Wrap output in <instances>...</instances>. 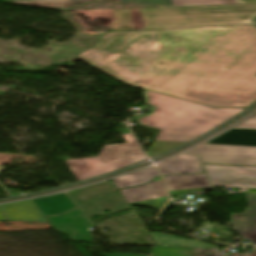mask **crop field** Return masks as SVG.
<instances>
[{
    "label": "crop field",
    "mask_w": 256,
    "mask_h": 256,
    "mask_svg": "<svg viewBox=\"0 0 256 256\" xmlns=\"http://www.w3.org/2000/svg\"><path fill=\"white\" fill-rule=\"evenodd\" d=\"M43 215H56L69 211L75 205L65 193L32 200Z\"/></svg>",
    "instance_id": "crop-field-15"
},
{
    "label": "crop field",
    "mask_w": 256,
    "mask_h": 256,
    "mask_svg": "<svg viewBox=\"0 0 256 256\" xmlns=\"http://www.w3.org/2000/svg\"><path fill=\"white\" fill-rule=\"evenodd\" d=\"M120 131H121L122 134L130 132L127 127L122 129V130H120Z\"/></svg>",
    "instance_id": "crop-field-25"
},
{
    "label": "crop field",
    "mask_w": 256,
    "mask_h": 256,
    "mask_svg": "<svg viewBox=\"0 0 256 256\" xmlns=\"http://www.w3.org/2000/svg\"><path fill=\"white\" fill-rule=\"evenodd\" d=\"M124 138L128 144L104 145L97 157L66 159L65 162L79 181L145 160L146 156L132 134Z\"/></svg>",
    "instance_id": "crop-field-4"
},
{
    "label": "crop field",
    "mask_w": 256,
    "mask_h": 256,
    "mask_svg": "<svg viewBox=\"0 0 256 256\" xmlns=\"http://www.w3.org/2000/svg\"><path fill=\"white\" fill-rule=\"evenodd\" d=\"M186 153L199 154L203 163L256 166V147L203 144Z\"/></svg>",
    "instance_id": "crop-field-6"
},
{
    "label": "crop field",
    "mask_w": 256,
    "mask_h": 256,
    "mask_svg": "<svg viewBox=\"0 0 256 256\" xmlns=\"http://www.w3.org/2000/svg\"><path fill=\"white\" fill-rule=\"evenodd\" d=\"M220 249H197L153 246L151 256H219ZM103 256H133V255H103Z\"/></svg>",
    "instance_id": "crop-field-16"
},
{
    "label": "crop field",
    "mask_w": 256,
    "mask_h": 256,
    "mask_svg": "<svg viewBox=\"0 0 256 256\" xmlns=\"http://www.w3.org/2000/svg\"><path fill=\"white\" fill-rule=\"evenodd\" d=\"M120 192L130 205L147 206L158 211H160L161 207L168 200L160 177L148 185L139 188L124 189L120 190Z\"/></svg>",
    "instance_id": "crop-field-8"
},
{
    "label": "crop field",
    "mask_w": 256,
    "mask_h": 256,
    "mask_svg": "<svg viewBox=\"0 0 256 256\" xmlns=\"http://www.w3.org/2000/svg\"><path fill=\"white\" fill-rule=\"evenodd\" d=\"M182 144L184 143L154 141L148 152L164 153Z\"/></svg>",
    "instance_id": "crop-field-22"
},
{
    "label": "crop field",
    "mask_w": 256,
    "mask_h": 256,
    "mask_svg": "<svg viewBox=\"0 0 256 256\" xmlns=\"http://www.w3.org/2000/svg\"><path fill=\"white\" fill-rule=\"evenodd\" d=\"M198 156L180 155L158 164L163 175L203 172Z\"/></svg>",
    "instance_id": "crop-field-14"
},
{
    "label": "crop field",
    "mask_w": 256,
    "mask_h": 256,
    "mask_svg": "<svg viewBox=\"0 0 256 256\" xmlns=\"http://www.w3.org/2000/svg\"><path fill=\"white\" fill-rule=\"evenodd\" d=\"M57 231L68 235L73 241L93 242L87 230L92 224L77 208L66 215L59 217H46Z\"/></svg>",
    "instance_id": "crop-field-9"
},
{
    "label": "crop field",
    "mask_w": 256,
    "mask_h": 256,
    "mask_svg": "<svg viewBox=\"0 0 256 256\" xmlns=\"http://www.w3.org/2000/svg\"><path fill=\"white\" fill-rule=\"evenodd\" d=\"M208 143L256 146V130L231 129Z\"/></svg>",
    "instance_id": "crop-field-17"
},
{
    "label": "crop field",
    "mask_w": 256,
    "mask_h": 256,
    "mask_svg": "<svg viewBox=\"0 0 256 256\" xmlns=\"http://www.w3.org/2000/svg\"><path fill=\"white\" fill-rule=\"evenodd\" d=\"M110 28L139 26L135 9L110 10Z\"/></svg>",
    "instance_id": "crop-field-21"
},
{
    "label": "crop field",
    "mask_w": 256,
    "mask_h": 256,
    "mask_svg": "<svg viewBox=\"0 0 256 256\" xmlns=\"http://www.w3.org/2000/svg\"><path fill=\"white\" fill-rule=\"evenodd\" d=\"M115 184L104 182L72 191H68L70 196L79 205L89 199L104 195L112 190H116Z\"/></svg>",
    "instance_id": "crop-field-18"
},
{
    "label": "crop field",
    "mask_w": 256,
    "mask_h": 256,
    "mask_svg": "<svg viewBox=\"0 0 256 256\" xmlns=\"http://www.w3.org/2000/svg\"><path fill=\"white\" fill-rule=\"evenodd\" d=\"M237 127H242V128H256V114L252 116L250 119L242 123L241 125Z\"/></svg>",
    "instance_id": "crop-field-23"
},
{
    "label": "crop field",
    "mask_w": 256,
    "mask_h": 256,
    "mask_svg": "<svg viewBox=\"0 0 256 256\" xmlns=\"http://www.w3.org/2000/svg\"><path fill=\"white\" fill-rule=\"evenodd\" d=\"M81 208L85 212V214L90 217L129 209V205L119 193V191H117L110 193L104 197L95 199L81 206ZM105 210H109L110 212L104 213Z\"/></svg>",
    "instance_id": "crop-field-13"
},
{
    "label": "crop field",
    "mask_w": 256,
    "mask_h": 256,
    "mask_svg": "<svg viewBox=\"0 0 256 256\" xmlns=\"http://www.w3.org/2000/svg\"><path fill=\"white\" fill-rule=\"evenodd\" d=\"M141 28H117L107 32L190 28L208 25L253 23L256 4L137 9Z\"/></svg>",
    "instance_id": "crop-field-3"
},
{
    "label": "crop field",
    "mask_w": 256,
    "mask_h": 256,
    "mask_svg": "<svg viewBox=\"0 0 256 256\" xmlns=\"http://www.w3.org/2000/svg\"><path fill=\"white\" fill-rule=\"evenodd\" d=\"M1 2L16 3L27 6L73 10L75 4L93 2L96 0H0ZM117 3H126L134 5H149V6H191V5H215V4H241L239 0H101Z\"/></svg>",
    "instance_id": "crop-field-5"
},
{
    "label": "crop field",
    "mask_w": 256,
    "mask_h": 256,
    "mask_svg": "<svg viewBox=\"0 0 256 256\" xmlns=\"http://www.w3.org/2000/svg\"><path fill=\"white\" fill-rule=\"evenodd\" d=\"M163 178L171 195L183 194L186 191L211 189L205 173L200 175H177Z\"/></svg>",
    "instance_id": "crop-field-12"
},
{
    "label": "crop field",
    "mask_w": 256,
    "mask_h": 256,
    "mask_svg": "<svg viewBox=\"0 0 256 256\" xmlns=\"http://www.w3.org/2000/svg\"><path fill=\"white\" fill-rule=\"evenodd\" d=\"M228 256H256V250H254L252 254L231 253Z\"/></svg>",
    "instance_id": "crop-field-24"
},
{
    "label": "crop field",
    "mask_w": 256,
    "mask_h": 256,
    "mask_svg": "<svg viewBox=\"0 0 256 256\" xmlns=\"http://www.w3.org/2000/svg\"><path fill=\"white\" fill-rule=\"evenodd\" d=\"M151 114L134 118L140 125L161 130L155 140L188 142L230 120L245 108H212L148 91Z\"/></svg>",
    "instance_id": "crop-field-2"
},
{
    "label": "crop field",
    "mask_w": 256,
    "mask_h": 256,
    "mask_svg": "<svg viewBox=\"0 0 256 256\" xmlns=\"http://www.w3.org/2000/svg\"><path fill=\"white\" fill-rule=\"evenodd\" d=\"M137 88L212 106L256 100V26L104 34L75 56Z\"/></svg>",
    "instance_id": "crop-field-1"
},
{
    "label": "crop field",
    "mask_w": 256,
    "mask_h": 256,
    "mask_svg": "<svg viewBox=\"0 0 256 256\" xmlns=\"http://www.w3.org/2000/svg\"><path fill=\"white\" fill-rule=\"evenodd\" d=\"M204 166L214 186L256 188V168Z\"/></svg>",
    "instance_id": "crop-field-7"
},
{
    "label": "crop field",
    "mask_w": 256,
    "mask_h": 256,
    "mask_svg": "<svg viewBox=\"0 0 256 256\" xmlns=\"http://www.w3.org/2000/svg\"><path fill=\"white\" fill-rule=\"evenodd\" d=\"M1 185V184H0Z\"/></svg>",
    "instance_id": "crop-field-27"
},
{
    "label": "crop field",
    "mask_w": 256,
    "mask_h": 256,
    "mask_svg": "<svg viewBox=\"0 0 256 256\" xmlns=\"http://www.w3.org/2000/svg\"><path fill=\"white\" fill-rule=\"evenodd\" d=\"M149 157H154L156 155H159L158 153H147Z\"/></svg>",
    "instance_id": "crop-field-26"
},
{
    "label": "crop field",
    "mask_w": 256,
    "mask_h": 256,
    "mask_svg": "<svg viewBox=\"0 0 256 256\" xmlns=\"http://www.w3.org/2000/svg\"><path fill=\"white\" fill-rule=\"evenodd\" d=\"M0 221L48 223L31 200L0 205Z\"/></svg>",
    "instance_id": "crop-field-11"
},
{
    "label": "crop field",
    "mask_w": 256,
    "mask_h": 256,
    "mask_svg": "<svg viewBox=\"0 0 256 256\" xmlns=\"http://www.w3.org/2000/svg\"><path fill=\"white\" fill-rule=\"evenodd\" d=\"M158 246L198 247V248H219L214 245L197 242L193 240L173 237L161 233H150Z\"/></svg>",
    "instance_id": "crop-field-20"
},
{
    "label": "crop field",
    "mask_w": 256,
    "mask_h": 256,
    "mask_svg": "<svg viewBox=\"0 0 256 256\" xmlns=\"http://www.w3.org/2000/svg\"><path fill=\"white\" fill-rule=\"evenodd\" d=\"M158 172V171H157ZM155 168H148L142 171L132 173L120 178L113 179L118 189L123 187H132L135 185H142L151 181L155 176H158Z\"/></svg>",
    "instance_id": "crop-field-19"
},
{
    "label": "crop field",
    "mask_w": 256,
    "mask_h": 256,
    "mask_svg": "<svg viewBox=\"0 0 256 256\" xmlns=\"http://www.w3.org/2000/svg\"><path fill=\"white\" fill-rule=\"evenodd\" d=\"M248 206L240 214H230L234 230L241 234L242 241L256 245V195H245Z\"/></svg>",
    "instance_id": "crop-field-10"
}]
</instances>
